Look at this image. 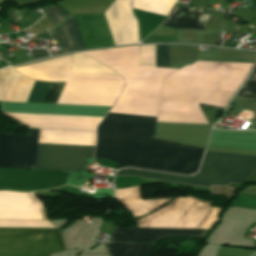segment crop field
Instances as JSON below:
<instances>
[{
	"instance_id": "17",
	"label": "crop field",
	"mask_w": 256,
	"mask_h": 256,
	"mask_svg": "<svg viewBox=\"0 0 256 256\" xmlns=\"http://www.w3.org/2000/svg\"><path fill=\"white\" fill-rule=\"evenodd\" d=\"M139 65L155 67V45L139 46Z\"/></svg>"
},
{
	"instance_id": "5",
	"label": "crop field",
	"mask_w": 256,
	"mask_h": 256,
	"mask_svg": "<svg viewBox=\"0 0 256 256\" xmlns=\"http://www.w3.org/2000/svg\"><path fill=\"white\" fill-rule=\"evenodd\" d=\"M62 250L56 229L0 228V256H50Z\"/></svg>"
},
{
	"instance_id": "12",
	"label": "crop field",
	"mask_w": 256,
	"mask_h": 256,
	"mask_svg": "<svg viewBox=\"0 0 256 256\" xmlns=\"http://www.w3.org/2000/svg\"><path fill=\"white\" fill-rule=\"evenodd\" d=\"M53 40L62 46L61 52L84 49L78 28L73 17L49 31Z\"/></svg>"
},
{
	"instance_id": "9",
	"label": "crop field",
	"mask_w": 256,
	"mask_h": 256,
	"mask_svg": "<svg viewBox=\"0 0 256 256\" xmlns=\"http://www.w3.org/2000/svg\"><path fill=\"white\" fill-rule=\"evenodd\" d=\"M71 58V55L56 57L14 69L40 81H65L69 74Z\"/></svg>"
},
{
	"instance_id": "18",
	"label": "crop field",
	"mask_w": 256,
	"mask_h": 256,
	"mask_svg": "<svg viewBox=\"0 0 256 256\" xmlns=\"http://www.w3.org/2000/svg\"><path fill=\"white\" fill-rule=\"evenodd\" d=\"M238 97L256 98V66L244 86L237 93Z\"/></svg>"
},
{
	"instance_id": "7",
	"label": "crop field",
	"mask_w": 256,
	"mask_h": 256,
	"mask_svg": "<svg viewBox=\"0 0 256 256\" xmlns=\"http://www.w3.org/2000/svg\"><path fill=\"white\" fill-rule=\"evenodd\" d=\"M115 46L138 43L137 20L131 11V0H116L104 13Z\"/></svg>"
},
{
	"instance_id": "16",
	"label": "crop field",
	"mask_w": 256,
	"mask_h": 256,
	"mask_svg": "<svg viewBox=\"0 0 256 256\" xmlns=\"http://www.w3.org/2000/svg\"><path fill=\"white\" fill-rule=\"evenodd\" d=\"M176 0H132L133 8L167 16Z\"/></svg>"
},
{
	"instance_id": "8",
	"label": "crop field",
	"mask_w": 256,
	"mask_h": 256,
	"mask_svg": "<svg viewBox=\"0 0 256 256\" xmlns=\"http://www.w3.org/2000/svg\"><path fill=\"white\" fill-rule=\"evenodd\" d=\"M86 49L114 46L103 14L74 15Z\"/></svg>"
},
{
	"instance_id": "19",
	"label": "crop field",
	"mask_w": 256,
	"mask_h": 256,
	"mask_svg": "<svg viewBox=\"0 0 256 256\" xmlns=\"http://www.w3.org/2000/svg\"><path fill=\"white\" fill-rule=\"evenodd\" d=\"M45 14L48 16V18L57 25L61 21H63L65 18H67L69 15L65 13L63 10H61L57 6H48L42 8Z\"/></svg>"
},
{
	"instance_id": "6",
	"label": "crop field",
	"mask_w": 256,
	"mask_h": 256,
	"mask_svg": "<svg viewBox=\"0 0 256 256\" xmlns=\"http://www.w3.org/2000/svg\"><path fill=\"white\" fill-rule=\"evenodd\" d=\"M94 147L39 144L35 169L83 171Z\"/></svg>"
},
{
	"instance_id": "2",
	"label": "crop field",
	"mask_w": 256,
	"mask_h": 256,
	"mask_svg": "<svg viewBox=\"0 0 256 256\" xmlns=\"http://www.w3.org/2000/svg\"><path fill=\"white\" fill-rule=\"evenodd\" d=\"M30 136L0 134V168L34 169L39 130ZM66 171L0 169V190L37 191L61 186Z\"/></svg>"
},
{
	"instance_id": "13",
	"label": "crop field",
	"mask_w": 256,
	"mask_h": 256,
	"mask_svg": "<svg viewBox=\"0 0 256 256\" xmlns=\"http://www.w3.org/2000/svg\"><path fill=\"white\" fill-rule=\"evenodd\" d=\"M50 83L36 81L27 102L40 103ZM65 83H51L42 102L55 104Z\"/></svg>"
},
{
	"instance_id": "11",
	"label": "crop field",
	"mask_w": 256,
	"mask_h": 256,
	"mask_svg": "<svg viewBox=\"0 0 256 256\" xmlns=\"http://www.w3.org/2000/svg\"><path fill=\"white\" fill-rule=\"evenodd\" d=\"M204 8L180 9L173 7L162 25L174 28L204 29L212 14H203Z\"/></svg>"
},
{
	"instance_id": "4",
	"label": "crop field",
	"mask_w": 256,
	"mask_h": 256,
	"mask_svg": "<svg viewBox=\"0 0 256 256\" xmlns=\"http://www.w3.org/2000/svg\"><path fill=\"white\" fill-rule=\"evenodd\" d=\"M123 85L120 76L70 74L56 104L111 106Z\"/></svg>"
},
{
	"instance_id": "10",
	"label": "crop field",
	"mask_w": 256,
	"mask_h": 256,
	"mask_svg": "<svg viewBox=\"0 0 256 256\" xmlns=\"http://www.w3.org/2000/svg\"><path fill=\"white\" fill-rule=\"evenodd\" d=\"M208 230L191 229H155V228H120L112 241L156 242L157 239L172 236L204 237ZM111 241V240H110Z\"/></svg>"
},
{
	"instance_id": "21",
	"label": "crop field",
	"mask_w": 256,
	"mask_h": 256,
	"mask_svg": "<svg viewBox=\"0 0 256 256\" xmlns=\"http://www.w3.org/2000/svg\"><path fill=\"white\" fill-rule=\"evenodd\" d=\"M31 53L33 59L48 56L46 50L44 49L33 50Z\"/></svg>"
},
{
	"instance_id": "1",
	"label": "crop field",
	"mask_w": 256,
	"mask_h": 256,
	"mask_svg": "<svg viewBox=\"0 0 256 256\" xmlns=\"http://www.w3.org/2000/svg\"><path fill=\"white\" fill-rule=\"evenodd\" d=\"M155 120L108 113L97 129L95 158L115 159L120 168L194 174L203 149L153 138Z\"/></svg>"
},
{
	"instance_id": "20",
	"label": "crop field",
	"mask_w": 256,
	"mask_h": 256,
	"mask_svg": "<svg viewBox=\"0 0 256 256\" xmlns=\"http://www.w3.org/2000/svg\"><path fill=\"white\" fill-rule=\"evenodd\" d=\"M169 45H156V67L168 68Z\"/></svg>"
},
{
	"instance_id": "3",
	"label": "crop field",
	"mask_w": 256,
	"mask_h": 256,
	"mask_svg": "<svg viewBox=\"0 0 256 256\" xmlns=\"http://www.w3.org/2000/svg\"><path fill=\"white\" fill-rule=\"evenodd\" d=\"M256 170V156L205 152L200 171L192 176L122 169L116 175H141L144 178L209 187V184L239 183Z\"/></svg>"
},
{
	"instance_id": "14",
	"label": "crop field",
	"mask_w": 256,
	"mask_h": 256,
	"mask_svg": "<svg viewBox=\"0 0 256 256\" xmlns=\"http://www.w3.org/2000/svg\"><path fill=\"white\" fill-rule=\"evenodd\" d=\"M70 73L118 75L115 71L78 53L73 55Z\"/></svg>"
},
{
	"instance_id": "15",
	"label": "crop field",
	"mask_w": 256,
	"mask_h": 256,
	"mask_svg": "<svg viewBox=\"0 0 256 256\" xmlns=\"http://www.w3.org/2000/svg\"><path fill=\"white\" fill-rule=\"evenodd\" d=\"M111 256H149L154 244L106 243Z\"/></svg>"
}]
</instances>
